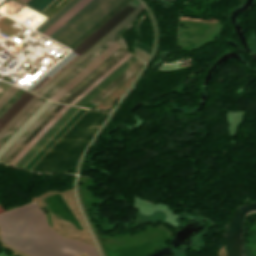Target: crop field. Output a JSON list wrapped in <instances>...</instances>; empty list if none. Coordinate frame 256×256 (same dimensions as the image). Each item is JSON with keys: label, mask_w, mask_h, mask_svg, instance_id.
Wrapping results in <instances>:
<instances>
[{"label": "crop field", "mask_w": 256, "mask_h": 256, "mask_svg": "<svg viewBox=\"0 0 256 256\" xmlns=\"http://www.w3.org/2000/svg\"><path fill=\"white\" fill-rule=\"evenodd\" d=\"M127 53L128 52L123 49L118 55H116L111 61H109L90 79H88L82 86H80L74 93H72L66 100H64L63 103L69 104L71 101H73L79 94H81L86 88H88L94 81H96L101 75H103L109 68H111Z\"/></svg>", "instance_id": "3316defc"}, {"label": "crop field", "mask_w": 256, "mask_h": 256, "mask_svg": "<svg viewBox=\"0 0 256 256\" xmlns=\"http://www.w3.org/2000/svg\"><path fill=\"white\" fill-rule=\"evenodd\" d=\"M136 60L137 59L132 56L125 63L123 62L124 64H122L118 69L116 68L117 70H115L111 75H109L104 81H102L97 87H95L91 92H89L84 98H82L75 105L83 106L85 103H87L92 97H94L99 91H101L106 85H108L112 80H114L119 74H121L126 68H128Z\"/></svg>", "instance_id": "28ad6ade"}, {"label": "crop field", "mask_w": 256, "mask_h": 256, "mask_svg": "<svg viewBox=\"0 0 256 256\" xmlns=\"http://www.w3.org/2000/svg\"><path fill=\"white\" fill-rule=\"evenodd\" d=\"M141 3L138 0H132L130 1L127 6L130 7L132 10H134L137 6H139ZM123 8L118 14H116L110 21H108L102 28H100L95 34H93L87 41H85L79 48L76 49V51L78 52H71L73 54H69L67 55L63 60H65L68 56V58L63 61L61 60L56 66H54L50 71H48L44 76H42L37 82H35L30 88H28V90H30L32 87H34L40 80H42L48 73H50L55 67H57L62 61V63L55 68L50 74H48L42 81H40L34 88H32L30 91H33L35 88H37L43 81H45L49 76H51L55 71H57L61 66H63L67 61H69L73 56H75L77 53V55L75 57H73L69 62H67L63 67H61L57 72H55L51 77H49V79H53L54 77H56L62 70H64L70 63H72L78 56H80L85 50H87L92 44H94L99 38H101L106 32H108L114 25H116L121 19H123L128 13H130L132 10H130L128 7ZM50 80H46L45 82H43L37 89L34 90V92H38L39 90H41L47 83H49Z\"/></svg>", "instance_id": "34b2d1b8"}, {"label": "crop field", "mask_w": 256, "mask_h": 256, "mask_svg": "<svg viewBox=\"0 0 256 256\" xmlns=\"http://www.w3.org/2000/svg\"><path fill=\"white\" fill-rule=\"evenodd\" d=\"M10 87V85L5 84L0 81V96Z\"/></svg>", "instance_id": "4177f3b9"}, {"label": "crop field", "mask_w": 256, "mask_h": 256, "mask_svg": "<svg viewBox=\"0 0 256 256\" xmlns=\"http://www.w3.org/2000/svg\"><path fill=\"white\" fill-rule=\"evenodd\" d=\"M20 1H22V2L26 3L28 0H20Z\"/></svg>", "instance_id": "730fd06b"}, {"label": "crop field", "mask_w": 256, "mask_h": 256, "mask_svg": "<svg viewBox=\"0 0 256 256\" xmlns=\"http://www.w3.org/2000/svg\"><path fill=\"white\" fill-rule=\"evenodd\" d=\"M123 48H119L116 50L111 56H109L104 62H102L97 68H95L89 75H87L82 81H80L75 87H73L68 93H66L61 99H59V102H62L64 99H66L72 92H74L80 85H82L88 78H90L95 72H97L103 65H105L111 58H113L119 51H121ZM120 53V52H119ZM118 53V54H119ZM117 54V55H118ZM112 60V59H111ZM110 60V61H111ZM104 67V66H103Z\"/></svg>", "instance_id": "214f88e0"}, {"label": "crop field", "mask_w": 256, "mask_h": 256, "mask_svg": "<svg viewBox=\"0 0 256 256\" xmlns=\"http://www.w3.org/2000/svg\"><path fill=\"white\" fill-rule=\"evenodd\" d=\"M58 105V103L53 102L45 110V112L26 130V132L7 150V152L5 151L6 153L0 158V162L3 163Z\"/></svg>", "instance_id": "5a996713"}, {"label": "crop field", "mask_w": 256, "mask_h": 256, "mask_svg": "<svg viewBox=\"0 0 256 256\" xmlns=\"http://www.w3.org/2000/svg\"><path fill=\"white\" fill-rule=\"evenodd\" d=\"M53 0H30L28 1L26 4L38 9V10H42L43 8H45L50 2H52Z\"/></svg>", "instance_id": "dafd665d"}, {"label": "crop field", "mask_w": 256, "mask_h": 256, "mask_svg": "<svg viewBox=\"0 0 256 256\" xmlns=\"http://www.w3.org/2000/svg\"><path fill=\"white\" fill-rule=\"evenodd\" d=\"M143 9L145 8L141 4L125 19H123L118 25H116L111 31H109L104 37H102L97 43H95L90 49H88L83 55H81L76 61H74L69 67H67L62 73H60L55 79H53L48 85H46L41 91H39L38 94L43 95L45 92H47L58 81H60L77 65H79L83 60H85L90 54H92L96 49H98L103 43H105L109 38H111L116 32H118L122 27H124L129 21H131L136 15H138Z\"/></svg>", "instance_id": "f4fd0767"}, {"label": "crop field", "mask_w": 256, "mask_h": 256, "mask_svg": "<svg viewBox=\"0 0 256 256\" xmlns=\"http://www.w3.org/2000/svg\"><path fill=\"white\" fill-rule=\"evenodd\" d=\"M119 47L120 46L114 42L110 47H108L103 53H101L95 60H93L87 67H85L79 74H77L71 81H69L51 98L57 101Z\"/></svg>", "instance_id": "e52e79f7"}, {"label": "crop field", "mask_w": 256, "mask_h": 256, "mask_svg": "<svg viewBox=\"0 0 256 256\" xmlns=\"http://www.w3.org/2000/svg\"><path fill=\"white\" fill-rule=\"evenodd\" d=\"M130 56L129 53L124 56L118 63H116L111 69H109L103 76H101L96 82H94L88 89H86L81 95H79L71 105H74L78 102L82 97H84L89 91H91L95 86H97L102 80H104L109 74H111L116 68H118L123 62H125Z\"/></svg>", "instance_id": "4a817a6b"}, {"label": "crop field", "mask_w": 256, "mask_h": 256, "mask_svg": "<svg viewBox=\"0 0 256 256\" xmlns=\"http://www.w3.org/2000/svg\"><path fill=\"white\" fill-rule=\"evenodd\" d=\"M69 108L70 107L68 106H64L51 119V121L22 149V151L9 163V165L13 166Z\"/></svg>", "instance_id": "d1516ede"}, {"label": "crop field", "mask_w": 256, "mask_h": 256, "mask_svg": "<svg viewBox=\"0 0 256 256\" xmlns=\"http://www.w3.org/2000/svg\"><path fill=\"white\" fill-rule=\"evenodd\" d=\"M99 0H92L88 3L82 10H80L75 16H73L68 22H66L60 29H58L53 35L49 38L55 39L63 31H65L71 24H73L78 18H80L85 12H87L92 6H94Z\"/></svg>", "instance_id": "733c2abd"}, {"label": "crop field", "mask_w": 256, "mask_h": 256, "mask_svg": "<svg viewBox=\"0 0 256 256\" xmlns=\"http://www.w3.org/2000/svg\"><path fill=\"white\" fill-rule=\"evenodd\" d=\"M130 0H124L115 9H113L108 15H106L101 21H99L94 27H92L87 33H85L80 39H78L69 48L75 49L85 39H87L92 33H94L100 26H102L107 20H109L115 13H117L123 6H125Z\"/></svg>", "instance_id": "5142ce71"}, {"label": "crop field", "mask_w": 256, "mask_h": 256, "mask_svg": "<svg viewBox=\"0 0 256 256\" xmlns=\"http://www.w3.org/2000/svg\"><path fill=\"white\" fill-rule=\"evenodd\" d=\"M59 105L47 118L46 120L17 148V150L4 162L8 164L19 152L20 150L49 122V120L62 108Z\"/></svg>", "instance_id": "d9b57169"}, {"label": "crop field", "mask_w": 256, "mask_h": 256, "mask_svg": "<svg viewBox=\"0 0 256 256\" xmlns=\"http://www.w3.org/2000/svg\"><path fill=\"white\" fill-rule=\"evenodd\" d=\"M109 114L88 110L31 170L69 171Z\"/></svg>", "instance_id": "ac0d7876"}, {"label": "crop field", "mask_w": 256, "mask_h": 256, "mask_svg": "<svg viewBox=\"0 0 256 256\" xmlns=\"http://www.w3.org/2000/svg\"><path fill=\"white\" fill-rule=\"evenodd\" d=\"M79 0H72L64 8H62L58 13H56L52 18H50L46 23H44L37 31L43 32L46 30L52 23H54L59 17H61L66 11H68L74 4Z\"/></svg>", "instance_id": "92a150f3"}, {"label": "crop field", "mask_w": 256, "mask_h": 256, "mask_svg": "<svg viewBox=\"0 0 256 256\" xmlns=\"http://www.w3.org/2000/svg\"><path fill=\"white\" fill-rule=\"evenodd\" d=\"M18 90V88L11 86L0 98V108L4 103Z\"/></svg>", "instance_id": "a9b5d70f"}, {"label": "crop field", "mask_w": 256, "mask_h": 256, "mask_svg": "<svg viewBox=\"0 0 256 256\" xmlns=\"http://www.w3.org/2000/svg\"><path fill=\"white\" fill-rule=\"evenodd\" d=\"M39 98L34 95L26 105L7 123V125L0 131V138L11 128V126L30 108V106ZM33 106V105H32ZM31 106V107H32Z\"/></svg>", "instance_id": "bc2a9ffb"}, {"label": "crop field", "mask_w": 256, "mask_h": 256, "mask_svg": "<svg viewBox=\"0 0 256 256\" xmlns=\"http://www.w3.org/2000/svg\"><path fill=\"white\" fill-rule=\"evenodd\" d=\"M0 230L5 243L31 256H99L95 247L53 231L36 202L0 215Z\"/></svg>", "instance_id": "8a807250"}, {"label": "crop field", "mask_w": 256, "mask_h": 256, "mask_svg": "<svg viewBox=\"0 0 256 256\" xmlns=\"http://www.w3.org/2000/svg\"><path fill=\"white\" fill-rule=\"evenodd\" d=\"M24 92V90L19 89L0 109V116L10 107V105Z\"/></svg>", "instance_id": "00972430"}, {"label": "crop field", "mask_w": 256, "mask_h": 256, "mask_svg": "<svg viewBox=\"0 0 256 256\" xmlns=\"http://www.w3.org/2000/svg\"><path fill=\"white\" fill-rule=\"evenodd\" d=\"M90 1L91 0H81L78 4H76L71 10H69L65 15H63L59 20H57L52 26H50L42 34L49 37Z\"/></svg>", "instance_id": "cbeb9de0"}, {"label": "crop field", "mask_w": 256, "mask_h": 256, "mask_svg": "<svg viewBox=\"0 0 256 256\" xmlns=\"http://www.w3.org/2000/svg\"><path fill=\"white\" fill-rule=\"evenodd\" d=\"M79 108L71 107L44 135L43 137L14 165L21 169L35 153L65 124V122L78 110Z\"/></svg>", "instance_id": "dd49c442"}, {"label": "crop field", "mask_w": 256, "mask_h": 256, "mask_svg": "<svg viewBox=\"0 0 256 256\" xmlns=\"http://www.w3.org/2000/svg\"><path fill=\"white\" fill-rule=\"evenodd\" d=\"M33 96L28 92H24L12 106L0 117V130L5 124L24 106V104Z\"/></svg>", "instance_id": "22f410ed"}, {"label": "crop field", "mask_w": 256, "mask_h": 256, "mask_svg": "<svg viewBox=\"0 0 256 256\" xmlns=\"http://www.w3.org/2000/svg\"><path fill=\"white\" fill-rule=\"evenodd\" d=\"M142 63L137 60L128 69H126L121 75H119L114 81H112L107 87H105L100 93H98L93 99H91L90 102L98 105L110 93H112L117 87H119L131 75H133L139 68H141L144 65Z\"/></svg>", "instance_id": "d8731c3e"}, {"label": "crop field", "mask_w": 256, "mask_h": 256, "mask_svg": "<svg viewBox=\"0 0 256 256\" xmlns=\"http://www.w3.org/2000/svg\"><path fill=\"white\" fill-rule=\"evenodd\" d=\"M122 0H100L55 41L69 47Z\"/></svg>", "instance_id": "412701ff"}]
</instances>
